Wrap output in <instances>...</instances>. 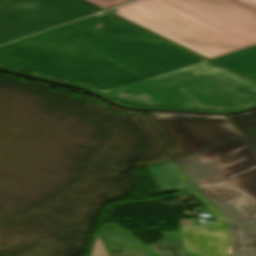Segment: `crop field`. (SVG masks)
I'll return each mask as SVG.
<instances>
[{
    "mask_svg": "<svg viewBox=\"0 0 256 256\" xmlns=\"http://www.w3.org/2000/svg\"><path fill=\"white\" fill-rule=\"evenodd\" d=\"M99 233L108 253L141 250L146 256H161L115 224L104 226Z\"/></svg>",
    "mask_w": 256,
    "mask_h": 256,
    "instance_id": "obj_7",
    "label": "crop field"
},
{
    "mask_svg": "<svg viewBox=\"0 0 256 256\" xmlns=\"http://www.w3.org/2000/svg\"><path fill=\"white\" fill-rule=\"evenodd\" d=\"M185 150L171 159L204 151L240 135L224 116L150 112Z\"/></svg>",
    "mask_w": 256,
    "mask_h": 256,
    "instance_id": "obj_6",
    "label": "crop field"
},
{
    "mask_svg": "<svg viewBox=\"0 0 256 256\" xmlns=\"http://www.w3.org/2000/svg\"><path fill=\"white\" fill-rule=\"evenodd\" d=\"M199 64L106 93L131 104L234 109L256 103V84L222 68Z\"/></svg>",
    "mask_w": 256,
    "mask_h": 256,
    "instance_id": "obj_4",
    "label": "crop field"
},
{
    "mask_svg": "<svg viewBox=\"0 0 256 256\" xmlns=\"http://www.w3.org/2000/svg\"><path fill=\"white\" fill-rule=\"evenodd\" d=\"M91 256H109L98 233L94 242Z\"/></svg>",
    "mask_w": 256,
    "mask_h": 256,
    "instance_id": "obj_10",
    "label": "crop field"
},
{
    "mask_svg": "<svg viewBox=\"0 0 256 256\" xmlns=\"http://www.w3.org/2000/svg\"><path fill=\"white\" fill-rule=\"evenodd\" d=\"M228 117L256 149V110Z\"/></svg>",
    "mask_w": 256,
    "mask_h": 256,
    "instance_id": "obj_9",
    "label": "crop field"
},
{
    "mask_svg": "<svg viewBox=\"0 0 256 256\" xmlns=\"http://www.w3.org/2000/svg\"><path fill=\"white\" fill-rule=\"evenodd\" d=\"M95 12L77 0H0V43Z\"/></svg>",
    "mask_w": 256,
    "mask_h": 256,
    "instance_id": "obj_5",
    "label": "crop field"
},
{
    "mask_svg": "<svg viewBox=\"0 0 256 256\" xmlns=\"http://www.w3.org/2000/svg\"><path fill=\"white\" fill-rule=\"evenodd\" d=\"M155 37L102 13L1 46L0 64L109 92L204 61Z\"/></svg>",
    "mask_w": 256,
    "mask_h": 256,
    "instance_id": "obj_1",
    "label": "crop field"
},
{
    "mask_svg": "<svg viewBox=\"0 0 256 256\" xmlns=\"http://www.w3.org/2000/svg\"><path fill=\"white\" fill-rule=\"evenodd\" d=\"M170 163L231 224L233 256H256V153L244 137Z\"/></svg>",
    "mask_w": 256,
    "mask_h": 256,
    "instance_id": "obj_3",
    "label": "crop field"
},
{
    "mask_svg": "<svg viewBox=\"0 0 256 256\" xmlns=\"http://www.w3.org/2000/svg\"><path fill=\"white\" fill-rule=\"evenodd\" d=\"M92 4H95L103 9L130 1V0H86Z\"/></svg>",
    "mask_w": 256,
    "mask_h": 256,
    "instance_id": "obj_11",
    "label": "crop field"
},
{
    "mask_svg": "<svg viewBox=\"0 0 256 256\" xmlns=\"http://www.w3.org/2000/svg\"><path fill=\"white\" fill-rule=\"evenodd\" d=\"M212 62L256 83V47L212 60Z\"/></svg>",
    "mask_w": 256,
    "mask_h": 256,
    "instance_id": "obj_8",
    "label": "crop field"
},
{
    "mask_svg": "<svg viewBox=\"0 0 256 256\" xmlns=\"http://www.w3.org/2000/svg\"><path fill=\"white\" fill-rule=\"evenodd\" d=\"M116 14L207 59L256 45V0H138Z\"/></svg>",
    "mask_w": 256,
    "mask_h": 256,
    "instance_id": "obj_2",
    "label": "crop field"
}]
</instances>
